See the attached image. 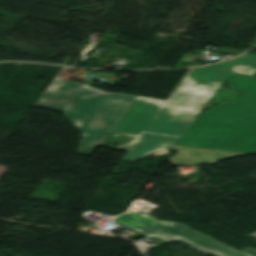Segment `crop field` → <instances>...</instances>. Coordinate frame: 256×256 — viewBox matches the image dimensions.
Returning <instances> with one entry per match:
<instances>
[{"label":"crop field","mask_w":256,"mask_h":256,"mask_svg":"<svg viewBox=\"0 0 256 256\" xmlns=\"http://www.w3.org/2000/svg\"><path fill=\"white\" fill-rule=\"evenodd\" d=\"M230 72L254 75L256 55L245 53L230 61L192 69L169 101L136 96L110 132L133 137L122 149L124 159L172 149Z\"/></svg>","instance_id":"obj_1"},{"label":"crop field","mask_w":256,"mask_h":256,"mask_svg":"<svg viewBox=\"0 0 256 256\" xmlns=\"http://www.w3.org/2000/svg\"><path fill=\"white\" fill-rule=\"evenodd\" d=\"M242 97L197 117L178 144L256 153V78L231 73Z\"/></svg>","instance_id":"obj_2"},{"label":"crop field","mask_w":256,"mask_h":256,"mask_svg":"<svg viewBox=\"0 0 256 256\" xmlns=\"http://www.w3.org/2000/svg\"><path fill=\"white\" fill-rule=\"evenodd\" d=\"M133 98L56 77L35 106L62 112L82 132L77 152L85 154L97 146Z\"/></svg>","instance_id":"obj_3"},{"label":"crop field","mask_w":256,"mask_h":256,"mask_svg":"<svg viewBox=\"0 0 256 256\" xmlns=\"http://www.w3.org/2000/svg\"><path fill=\"white\" fill-rule=\"evenodd\" d=\"M116 222L144 236L159 237L165 242L178 240L200 252L217 256H256V249L250 247L238 252L181 223L157 221L141 212H128L115 218Z\"/></svg>","instance_id":"obj_4"},{"label":"crop field","mask_w":256,"mask_h":256,"mask_svg":"<svg viewBox=\"0 0 256 256\" xmlns=\"http://www.w3.org/2000/svg\"><path fill=\"white\" fill-rule=\"evenodd\" d=\"M178 155L169 159L173 165H195L219 161L222 159L244 155L245 153L212 150L188 146H175Z\"/></svg>","instance_id":"obj_5"},{"label":"crop field","mask_w":256,"mask_h":256,"mask_svg":"<svg viewBox=\"0 0 256 256\" xmlns=\"http://www.w3.org/2000/svg\"><path fill=\"white\" fill-rule=\"evenodd\" d=\"M231 86L233 87V89H235V90H236L235 84H231Z\"/></svg>","instance_id":"obj_6"},{"label":"crop field","mask_w":256,"mask_h":256,"mask_svg":"<svg viewBox=\"0 0 256 256\" xmlns=\"http://www.w3.org/2000/svg\"><path fill=\"white\" fill-rule=\"evenodd\" d=\"M251 235L255 236L256 237V232L252 233Z\"/></svg>","instance_id":"obj_7"}]
</instances>
